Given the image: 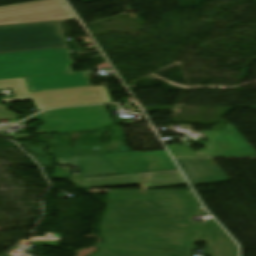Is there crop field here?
Returning a JSON list of instances; mask_svg holds the SVG:
<instances>
[{
	"label": "crop field",
	"instance_id": "6",
	"mask_svg": "<svg viewBox=\"0 0 256 256\" xmlns=\"http://www.w3.org/2000/svg\"><path fill=\"white\" fill-rule=\"evenodd\" d=\"M67 46L61 22L0 30V53Z\"/></svg>",
	"mask_w": 256,
	"mask_h": 256
},
{
	"label": "crop field",
	"instance_id": "11",
	"mask_svg": "<svg viewBox=\"0 0 256 256\" xmlns=\"http://www.w3.org/2000/svg\"><path fill=\"white\" fill-rule=\"evenodd\" d=\"M54 161L58 166L78 165L81 172V175L70 176L68 167L56 168L53 177L57 179L124 173L103 155L61 158L55 159ZM70 182L76 184V188H86L82 178L70 180Z\"/></svg>",
	"mask_w": 256,
	"mask_h": 256
},
{
	"label": "crop field",
	"instance_id": "18",
	"mask_svg": "<svg viewBox=\"0 0 256 256\" xmlns=\"http://www.w3.org/2000/svg\"><path fill=\"white\" fill-rule=\"evenodd\" d=\"M23 25H28V24H23ZM17 26H22V25L0 26V29L12 28V27H17Z\"/></svg>",
	"mask_w": 256,
	"mask_h": 256
},
{
	"label": "crop field",
	"instance_id": "16",
	"mask_svg": "<svg viewBox=\"0 0 256 256\" xmlns=\"http://www.w3.org/2000/svg\"><path fill=\"white\" fill-rule=\"evenodd\" d=\"M19 144L23 146L41 166H53L52 162L49 160L48 156L43 151L46 145L30 146L27 142Z\"/></svg>",
	"mask_w": 256,
	"mask_h": 256
},
{
	"label": "crop field",
	"instance_id": "7",
	"mask_svg": "<svg viewBox=\"0 0 256 256\" xmlns=\"http://www.w3.org/2000/svg\"><path fill=\"white\" fill-rule=\"evenodd\" d=\"M119 225L99 227L102 233L173 223L154 200H108Z\"/></svg>",
	"mask_w": 256,
	"mask_h": 256
},
{
	"label": "crop field",
	"instance_id": "4",
	"mask_svg": "<svg viewBox=\"0 0 256 256\" xmlns=\"http://www.w3.org/2000/svg\"><path fill=\"white\" fill-rule=\"evenodd\" d=\"M12 89L16 98L4 103L33 100L39 111L61 106L113 102L106 87H77L30 93L24 78L0 80V90Z\"/></svg>",
	"mask_w": 256,
	"mask_h": 256
},
{
	"label": "crop field",
	"instance_id": "3",
	"mask_svg": "<svg viewBox=\"0 0 256 256\" xmlns=\"http://www.w3.org/2000/svg\"><path fill=\"white\" fill-rule=\"evenodd\" d=\"M107 199H154L174 223L190 230L189 235L200 230L197 226L207 225L205 221L192 220L195 216L207 214L191 191L109 190ZM113 224H118V221L109 205L99 226Z\"/></svg>",
	"mask_w": 256,
	"mask_h": 256
},
{
	"label": "crop field",
	"instance_id": "10",
	"mask_svg": "<svg viewBox=\"0 0 256 256\" xmlns=\"http://www.w3.org/2000/svg\"><path fill=\"white\" fill-rule=\"evenodd\" d=\"M84 181L88 188L140 184L143 190H147V188L186 185L178 170L86 178Z\"/></svg>",
	"mask_w": 256,
	"mask_h": 256
},
{
	"label": "crop field",
	"instance_id": "17",
	"mask_svg": "<svg viewBox=\"0 0 256 256\" xmlns=\"http://www.w3.org/2000/svg\"><path fill=\"white\" fill-rule=\"evenodd\" d=\"M22 117V116H19ZM10 118H18L15 117L14 113L7 110L6 106L0 104V120L10 119Z\"/></svg>",
	"mask_w": 256,
	"mask_h": 256
},
{
	"label": "crop field",
	"instance_id": "5",
	"mask_svg": "<svg viewBox=\"0 0 256 256\" xmlns=\"http://www.w3.org/2000/svg\"><path fill=\"white\" fill-rule=\"evenodd\" d=\"M67 47L0 54V79L73 72Z\"/></svg>",
	"mask_w": 256,
	"mask_h": 256
},
{
	"label": "crop field",
	"instance_id": "15",
	"mask_svg": "<svg viewBox=\"0 0 256 256\" xmlns=\"http://www.w3.org/2000/svg\"><path fill=\"white\" fill-rule=\"evenodd\" d=\"M25 79L31 91L91 85L88 72L33 76Z\"/></svg>",
	"mask_w": 256,
	"mask_h": 256
},
{
	"label": "crop field",
	"instance_id": "2",
	"mask_svg": "<svg viewBox=\"0 0 256 256\" xmlns=\"http://www.w3.org/2000/svg\"><path fill=\"white\" fill-rule=\"evenodd\" d=\"M188 230L176 225H165L138 230L103 234L105 243L93 256H192L194 243Z\"/></svg>",
	"mask_w": 256,
	"mask_h": 256
},
{
	"label": "crop field",
	"instance_id": "13",
	"mask_svg": "<svg viewBox=\"0 0 256 256\" xmlns=\"http://www.w3.org/2000/svg\"><path fill=\"white\" fill-rule=\"evenodd\" d=\"M209 226H200L201 230L192 234L207 242L206 254L210 256H238V247L223 229L214 221H206Z\"/></svg>",
	"mask_w": 256,
	"mask_h": 256
},
{
	"label": "crop field",
	"instance_id": "9",
	"mask_svg": "<svg viewBox=\"0 0 256 256\" xmlns=\"http://www.w3.org/2000/svg\"><path fill=\"white\" fill-rule=\"evenodd\" d=\"M75 18L63 0H42L0 7V25L59 21Z\"/></svg>",
	"mask_w": 256,
	"mask_h": 256
},
{
	"label": "crop field",
	"instance_id": "14",
	"mask_svg": "<svg viewBox=\"0 0 256 256\" xmlns=\"http://www.w3.org/2000/svg\"><path fill=\"white\" fill-rule=\"evenodd\" d=\"M176 161L193 186L229 180L212 159H176Z\"/></svg>",
	"mask_w": 256,
	"mask_h": 256
},
{
	"label": "crop field",
	"instance_id": "12",
	"mask_svg": "<svg viewBox=\"0 0 256 256\" xmlns=\"http://www.w3.org/2000/svg\"><path fill=\"white\" fill-rule=\"evenodd\" d=\"M125 173L176 168L167 151L104 154Z\"/></svg>",
	"mask_w": 256,
	"mask_h": 256
},
{
	"label": "crop field",
	"instance_id": "1",
	"mask_svg": "<svg viewBox=\"0 0 256 256\" xmlns=\"http://www.w3.org/2000/svg\"><path fill=\"white\" fill-rule=\"evenodd\" d=\"M40 115L43 118L38 115L34 119L44 121L46 124L40 126L37 134L94 130L113 125L109 129L114 136L106 145H100V140L104 132L109 129L82 135L75 141L76 147H70L67 135H38L42 141L54 142L47 152L54 154L56 158L131 151L125 145L121 128L113 124L104 105L56 109Z\"/></svg>",
	"mask_w": 256,
	"mask_h": 256
},
{
	"label": "crop field",
	"instance_id": "8",
	"mask_svg": "<svg viewBox=\"0 0 256 256\" xmlns=\"http://www.w3.org/2000/svg\"><path fill=\"white\" fill-rule=\"evenodd\" d=\"M203 132L209 140L203 143L207 149L193 152L190 147L168 146L173 157H256V152L233 125L221 131Z\"/></svg>",
	"mask_w": 256,
	"mask_h": 256
}]
</instances>
